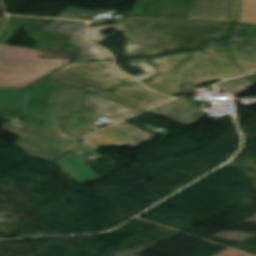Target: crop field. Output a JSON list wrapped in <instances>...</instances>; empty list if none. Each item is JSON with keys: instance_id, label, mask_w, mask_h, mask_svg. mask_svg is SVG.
<instances>
[{"instance_id": "8a807250", "label": "crop field", "mask_w": 256, "mask_h": 256, "mask_svg": "<svg viewBox=\"0 0 256 256\" xmlns=\"http://www.w3.org/2000/svg\"><path fill=\"white\" fill-rule=\"evenodd\" d=\"M231 26L126 17L120 23L89 27L88 39L98 43L116 33H123L128 45L132 44L126 53L128 58L152 57L201 49L210 39H226ZM108 29L115 30L110 35L100 34Z\"/></svg>"}, {"instance_id": "ac0d7876", "label": "crop field", "mask_w": 256, "mask_h": 256, "mask_svg": "<svg viewBox=\"0 0 256 256\" xmlns=\"http://www.w3.org/2000/svg\"><path fill=\"white\" fill-rule=\"evenodd\" d=\"M46 77L145 111L169 98L146 90L112 61L70 62Z\"/></svg>"}, {"instance_id": "34b2d1b8", "label": "crop field", "mask_w": 256, "mask_h": 256, "mask_svg": "<svg viewBox=\"0 0 256 256\" xmlns=\"http://www.w3.org/2000/svg\"><path fill=\"white\" fill-rule=\"evenodd\" d=\"M129 62L152 64L158 74L143 84L172 97L184 91L181 88L183 83L200 85L243 74L231 57L216 56L201 51L153 59L135 58Z\"/></svg>"}, {"instance_id": "412701ff", "label": "crop field", "mask_w": 256, "mask_h": 256, "mask_svg": "<svg viewBox=\"0 0 256 256\" xmlns=\"http://www.w3.org/2000/svg\"><path fill=\"white\" fill-rule=\"evenodd\" d=\"M24 89H36L26 113V123L66 134L57 118L77 112L86 95L70 85L42 78Z\"/></svg>"}, {"instance_id": "f4fd0767", "label": "crop field", "mask_w": 256, "mask_h": 256, "mask_svg": "<svg viewBox=\"0 0 256 256\" xmlns=\"http://www.w3.org/2000/svg\"><path fill=\"white\" fill-rule=\"evenodd\" d=\"M71 59L39 58V51L0 44V87H23Z\"/></svg>"}, {"instance_id": "dd49c442", "label": "crop field", "mask_w": 256, "mask_h": 256, "mask_svg": "<svg viewBox=\"0 0 256 256\" xmlns=\"http://www.w3.org/2000/svg\"><path fill=\"white\" fill-rule=\"evenodd\" d=\"M138 112L141 111L88 92L79 112L59 118V121L70 138H79L99 130L92 121L100 116L117 122Z\"/></svg>"}, {"instance_id": "e52e79f7", "label": "crop field", "mask_w": 256, "mask_h": 256, "mask_svg": "<svg viewBox=\"0 0 256 256\" xmlns=\"http://www.w3.org/2000/svg\"><path fill=\"white\" fill-rule=\"evenodd\" d=\"M2 130L19 135L15 144L22 148L29 157L51 163L83 144L15 121Z\"/></svg>"}, {"instance_id": "d8731c3e", "label": "crop field", "mask_w": 256, "mask_h": 256, "mask_svg": "<svg viewBox=\"0 0 256 256\" xmlns=\"http://www.w3.org/2000/svg\"><path fill=\"white\" fill-rule=\"evenodd\" d=\"M234 26V25H233ZM230 40H213L202 51L231 56L244 74L256 71V26L235 25Z\"/></svg>"}, {"instance_id": "5a996713", "label": "crop field", "mask_w": 256, "mask_h": 256, "mask_svg": "<svg viewBox=\"0 0 256 256\" xmlns=\"http://www.w3.org/2000/svg\"><path fill=\"white\" fill-rule=\"evenodd\" d=\"M154 137L140 128L123 121L81 140L96 150L108 145L135 147Z\"/></svg>"}, {"instance_id": "3316defc", "label": "crop field", "mask_w": 256, "mask_h": 256, "mask_svg": "<svg viewBox=\"0 0 256 256\" xmlns=\"http://www.w3.org/2000/svg\"><path fill=\"white\" fill-rule=\"evenodd\" d=\"M240 0H190L185 20L236 23Z\"/></svg>"}, {"instance_id": "28ad6ade", "label": "crop field", "mask_w": 256, "mask_h": 256, "mask_svg": "<svg viewBox=\"0 0 256 256\" xmlns=\"http://www.w3.org/2000/svg\"><path fill=\"white\" fill-rule=\"evenodd\" d=\"M135 13L126 16L146 18H168L184 20L188 9L186 0H138Z\"/></svg>"}, {"instance_id": "d1516ede", "label": "crop field", "mask_w": 256, "mask_h": 256, "mask_svg": "<svg viewBox=\"0 0 256 256\" xmlns=\"http://www.w3.org/2000/svg\"><path fill=\"white\" fill-rule=\"evenodd\" d=\"M41 30L71 36L69 44L76 45L80 49L76 54L80 57L76 58L74 61H90L93 59V55L89 52L100 48L97 45L87 43L84 39L85 22L53 19L47 26L42 27Z\"/></svg>"}, {"instance_id": "22f410ed", "label": "crop field", "mask_w": 256, "mask_h": 256, "mask_svg": "<svg viewBox=\"0 0 256 256\" xmlns=\"http://www.w3.org/2000/svg\"><path fill=\"white\" fill-rule=\"evenodd\" d=\"M173 122L189 126L206 116L200 105L182 97L147 111Z\"/></svg>"}, {"instance_id": "cbeb9de0", "label": "crop field", "mask_w": 256, "mask_h": 256, "mask_svg": "<svg viewBox=\"0 0 256 256\" xmlns=\"http://www.w3.org/2000/svg\"><path fill=\"white\" fill-rule=\"evenodd\" d=\"M78 149L83 152L80 154L76 153L75 151ZM96 153L97 152L89 148L87 145L83 144L70 154L58 160L57 163L76 180L84 182L98 180L100 178L84 162L80 160L88 155Z\"/></svg>"}, {"instance_id": "5142ce71", "label": "crop field", "mask_w": 256, "mask_h": 256, "mask_svg": "<svg viewBox=\"0 0 256 256\" xmlns=\"http://www.w3.org/2000/svg\"><path fill=\"white\" fill-rule=\"evenodd\" d=\"M35 90L0 89V108H26Z\"/></svg>"}, {"instance_id": "d9b57169", "label": "crop field", "mask_w": 256, "mask_h": 256, "mask_svg": "<svg viewBox=\"0 0 256 256\" xmlns=\"http://www.w3.org/2000/svg\"><path fill=\"white\" fill-rule=\"evenodd\" d=\"M237 23L256 24V0H241Z\"/></svg>"}, {"instance_id": "733c2abd", "label": "crop field", "mask_w": 256, "mask_h": 256, "mask_svg": "<svg viewBox=\"0 0 256 256\" xmlns=\"http://www.w3.org/2000/svg\"><path fill=\"white\" fill-rule=\"evenodd\" d=\"M217 86L233 95L241 94L246 90L254 87L253 84L250 82V80L247 78V76L232 79V80L223 82Z\"/></svg>"}, {"instance_id": "4a817a6b", "label": "crop field", "mask_w": 256, "mask_h": 256, "mask_svg": "<svg viewBox=\"0 0 256 256\" xmlns=\"http://www.w3.org/2000/svg\"><path fill=\"white\" fill-rule=\"evenodd\" d=\"M89 13H91V12L90 11L81 10V9H76V8L68 7L66 10H64L57 17L83 19Z\"/></svg>"}, {"instance_id": "bc2a9ffb", "label": "crop field", "mask_w": 256, "mask_h": 256, "mask_svg": "<svg viewBox=\"0 0 256 256\" xmlns=\"http://www.w3.org/2000/svg\"><path fill=\"white\" fill-rule=\"evenodd\" d=\"M20 26L7 24L0 33V43L7 44Z\"/></svg>"}, {"instance_id": "214f88e0", "label": "crop field", "mask_w": 256, "mask_h": 256, "mask_svg": "<svg viewBox=\"0 0 256 256\" xmlns=\"http://www.w3.org/2000/svg\"><path fill=\"white\" fill-rule=\"evenodd\" d=\"M25 110L26 109L1 108L0 114L20 121Z\"/></svg>"}, {"instance_id": "92a150f3", "label": "crop field", "mask_w": 256, "mask_h": 256, "mask_svg": "<svg viewBox=\"0 0 256 256\" xmlns=\"http://www.w3.org/2000/svg\"><path fill=\"white\" fill-rule=\"evenodd\" d=\"M91 53L94 55V59L92 61H95V60H111L110 54L102 48H100L96 51H93Z\"/></svg>"}, {"instance_id": "dafd665d", "label": "crop field", "mask_w": 256, "mask_h": 256, "mask_svg": "<svg viewBox=\"0 0 256 256\" xmlns=\"http://www.w3.org/2000/svg\"><path fill=\"white\" fill-rule=\"evenodd\" d=\"M154 75L155 74H153L151 72H145V73H141V74H138V75H134L133 77H135L139 81L143 82V81H146L147 79H149L150 77H152Z\"/></svg>"}, {"instance_id": "00972430", "label": "crop field", "mask_w": 256, "mask_h": 256, "mask_svg": "<svg viewBox=\"0 0 256 256\" xmlns=\"http://www.w3.org/2000/svg\"><path fill=\"white\" fill-rule=\"evenodd\" d=\"M142 68H144L145 70H147V71H151V72H153V73H157L156 71H155V69L152 67V65H140Z\"/></svg>"}, {"instance_id": "a9b5d70f", "label": "crop field", "mask_w": 256, "mask_h": 256, "mask_svg": "<svg viewBox=\"0 0 256 256\" xmlns=\"http://www.w3.org/2000/svg\"><path fill=\"white\" fill-rule=\"evenodd\" d=\"M7 21V19L5 17H1L0 16V29L2 28V26L5 24V22Z\"/></svg>"}, {"instance_id": "4177f3b9", "label": "crop field", "mask_w": 256, "mask_h": 256, "mask_svg": "<svg viewBox=\"0 0 256 256\" xmlns=\"http://www.w3.org/2000/svg\"><path fill=\"white\" fill-rule=\"evenodd\" d=\"M129 47H130V46H129ZM129 47H128V48H129ZM127 50H128V49H127Z\"/></svg>"}]
</instances>
